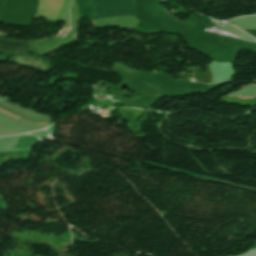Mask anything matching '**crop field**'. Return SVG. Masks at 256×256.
<instances>
[{
	"mask_svg": "<svg viewBox=\"0 0 256 256\" xmlns=\"http://www.w3.org/2000/svg\"><path fill=\"white\" fill-rule=\"evenodd\" d=\"M99 17L131 14L132 0H95Z\"/></svg>",
	"mask_w": 256,
	"mask_h": 256,
	"instance_id": "1",
	"label": "crop field"
},
{
	"mask_svg": "<svg viewBox=\"0 0 256 256\" xmlns=\"http://www.w3.org/2000/svg\"><path fill=\"white\" fill-rule=\"evenodd\" d=\"M0 107L3 108V109H5V110H7V111H9V112H11V113H13V114H15V115H17V116L24 117V118H26V119H28V120L40 121V122H46V123H49V122H50V121H47V120L34 119V118H31V117L24 116V115H22V114H20V113H18V112H16V111H13V110H10V109L4 107V106H2V105H0ZM0 111L3 112V113H6V114H8V115H10V116H12V117H14V118H16V119H18L17 116H14V115H12V114H10V113H8V112L2 110V109H0ZM21 117H19V120L26 121V122H30V123H34V124L48 125V124H46V123L27 121V120H25V119H23V118H21Z\"/></svg>",
	"mask_w": 256,
	"mask_h": 256,
	"instance_id": "2",
	"label": "crop field"
},
{
	"mask_svg": "<svg viewBox=\"0 0 256 256\" xmlns=\"http://www.w3.org/2000/svg\"><path fill=\"white\" fill-rule=\"evenodd\" d=\"M36 138L37 137L33 136H20L17 140L18 144L15 148L27 149Z\"/></svg>",
	"mask_w": 256,
	"mask_h": 256,
	"instance_id": "3",
	"label": "crop field"
}]
</instances>
